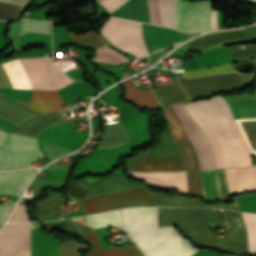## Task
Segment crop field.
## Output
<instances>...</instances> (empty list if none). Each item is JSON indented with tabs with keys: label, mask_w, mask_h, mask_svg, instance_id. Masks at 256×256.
I'll return each instance as SVG.
<instances>
[{
	"label": "crop field",
	"mask_w": 256,
	"mask_h": 256,
	"mask_svg": "<svg viewBox=\"0 0 256 256\" xmlns=\"http://www.w3.org/2000/svg\"><path fill=\"white\" fill-rule=\"evenodd\" d=\"M121 214L123 230L144 256H190L198 250L173 226L157 228V208H127Z\"/></svg>",
	"instance_id": "1"
},
{
	"label": "crop field",
	"mask_w": 256,
	"mask_h": 256,
	"mask_svg": "<svg viewBox=\"0 0 256 256\" xmlns=\"http://www.w3.org/2000/svg\"><path fill=\"white\" fill-rule=\"evenodd\" d=\"M174 224L197 243L222 249V239H212L209 227L226 225L218 210L158 208V227Z\"/></svg>",
	"instance_id": "2"
},
{
	"label": "crop field",
	"mask_w": 256,
	"mask_h": 256,
	"mask_svg": "<svg viewBox=\"0 0 256 256\" xmlns=\"http://www.w3.org/2000/svg\"><path fill=\"white\" fill-rule=\"evenodd\" d=\"M170 132L182 157L147 158L143 157L130 171H190L200 170L197 154L188 140L184 129L172 107L162 109Z\"/></svg>",
	"instance_id": "3"
},
{
	"label": "crop field",
	"mask_w": 256,
	"mask_h": 256,
	"mask_svg": "<svg viewBox=\"0 0 256 256\" xmlns=\"http://www.w3.org/2000/svg\"><path fill=\"white\" fill-rule=\"evenodd\" d=\"M225 168L252 165V160L241 136L219 141ZM230 194L256 189V165L225 169Z\"/></svg>",
	"instance_id": "4"
},
{
	"label": "crop field",
	"mask_w": 256,
	"mask_h": 256,
	"mask_svg": "<svg viewBox=\"0 0 256 256\" xmlns=\"http://www.w3.org/2000/svg\"><path fill=\"white\" fill-rule=\"evenodd\" d=\"M85 214L128 206H157L156 192L145 186L122 190L77 201Z\"/></svg>",
	"instance_id": "5"
},
{
	"label": "crop field",
	"mask_w": 256,
	"mask_h": 256,
	"mask_svg": "<svg viewBox=\"0 0 256 256\" xmlns=\"http://www.w3.org/2000/svg\"><path fill=\"white\" fill-rule=\"evenodd\" d=\"M193 106L211 127L217 140L241 135L223 96L193 103Z\"/></svg>",
	"instance_id": "6"
},
{
	"label": "crop field",
	"mask_w": 256,
	"mask_h": 256,
	"mask_svg": "<svg viewBox=\"0 0 256 256\" xmlns=\"http://www.w3.org/2000/svg\"><path fill=\"white\" fill-rule=\"evenodd\" d=\"M121 22V19L109 18L101 31L102 35L116 47ZM118 48L134 54L137 58L147 55L141 38L140 23L123 20Z\"/></svg>",
	"instance_id": "7"
},
{
	"label": "crop field",
	"mask_w": 256,
	"mask_h": 256,
	"mask_svg": "<svg viewBox=\"0 0 256 256\" xmlns=\"http://www.w3.org/2000/svg\"><path fill=\"white\" fill-rule=\"evenodd\" d=\"M42 158L35 138L9 134L4 148H0V168L26 166Z\"/></svg>",
	"instance_id": "8"
},
{
	"label": "crop field",
	"mask_w": 256,
	"mask_h": 256,
	"mask_svg": "<svg viewBox=\"0 0 256 256\" xmlns=\"http://www.w3.org/2000/svg\"><path fill=\"white\" fill-rule=\"evenodd\" d=\"M34 89H59L72 82L49 58L21 59Z\"/></svg>",
	"instance_id": "9"
},
{
	"label": "crop field",
	"mask_w": 256,
	"mask_h": 256,
	"mask_svg": "<svg viewBox=\"0 0 256 256\" xmlns=\"http://www.w3.org/2000/svg\"><path fill=\"white\" fill-rule=\"evenodd\" d=\"M253 75V74H252ZM251 74L229 73L180 81L189 98L209 92L238 87L248 81Z\"/></svg>",
	"instance_id": "10"
},
{
	"label": "crop field",
	"mask_w": 256,
	"mask_h": 256,
	"mask_svg": "<svg viewBox=\"0 0 256 256\" xmlns=\"http://www.w3.org/2000/svg\"><path fill=\"white\" fill-rule=\"evenodd\" d=\"M172 107L176 111L188 138L197 151L201 170L215 169L209 144L202 131L187 114L182 104Z\"/></svg>",
	"instance_id": "11"
},
{
	"label": "crop field",
	"mask_w": 256,
	"mask_h": 256,
	"mask_svg": "<svg viewBox=\"0 0 256 256\" xmlns=\"http://www.w3.org/2000/svg\"><path fill=\"white\" fill-rule=\"evenodd\" d=\"M36 170L0 172V195L19 196ZM13 204H0V226Z\"/></svg>",
	"instance_id": "12"
},
{
	"label": "crop field",
	"mask_w": 256,
	"mask_h": 256,
	"mask_svg": "<svg viewBox=\"0 0 256 256\" xmlns=\"http://www.w3.org/2000/svg\"><path fill=\"white\" fill-rule=\"evenodd\" d=\"M229 224L228 234L224 238V250L248 253L245 224L240 213L223 211Z\"/></svg>",
	"instance_id": "13"
},
{
	"label": "crop field",
	"mask_w": 256,
	"mask_h": 256,
	"mask_svg": "<svg viewBox=\"0 0 256 256\" xmlns=\"http://www.w3.org/2000/svg\"><path fill=\"white\" fill-rule=\"evenodd\" d=\"M211 1L186 2L184 6L185 31L210 30Z\"/></svg>",
	"instance_id": "14"
},
{
	"label": "crop field",
	"mask_w": 256,
	"mask_h": 256,
	"mask_svg": "<svg viewBox=\"0 0 256 256\" xmlns=\"http://www.w3.org/2000/svg\"><path fill=\"white\" fill-rule=\"evenodd\" d=\"M172 31L171 29L142 23V33ZM148 53L174 46L181 42L178 32H160L143 34Z\"/></svg>",
	"instance_id": "15"
},
{
	"label": "crop field",
	"mask_w": 256,
	"mask_h": 256,
	"mask_svg": "<svg viewBox=\"0 0 256 256\" xmlns=\"http://www.w3.org/2000/svg\"><path fill=\"white\" fill-rule=\"evenodd\" d=\"M131 173L150 183L187 192L186 172Z\"/></svg>",
	"instance_id": "16"
},
{
	"label": "crop field",
	"mask_w": 256,
	"mask_h": 256,
	"mask_svg": "<svg viewBox=\"0 0 256 256\" xmlns=\"http://www.w3.org/2000/svg\"><path fill=\"white\" fill-rule=\"evenodd\" d=\"M63 101L56 90L38 91L33 90L29 102V108L44 114L52 111L62 110Z\"/></svg>",
	"instance_id": "17"
},
{
	"label": "crop field",
	"mask_w": 256,
	"mask_h": 256,
	"mask_svg": "<svg viewBox=\"0 0 256 256\" xmlns=\"http://www.w3.org/2000/svg\"><path fill=\"white\" fill-rule=\"evenodd\" d=\"M80 238L89 242L92 246V250L87 256H142L135 246L125 248H102L94 230L80 236Z\"/></svg>",
	"instance_id": "18"
},
{
	"label": "crop field",
	"mask_w": 256,
	"mask_h": 256,
	"mask_svg": "<svg viewBox=\"0 0 256 256\" xmlns=\"http://www.w3.org/2000/svg\"><path fill=\"white\" fill-rule=\"evenodd\" d=\"M173 4L174 0H148L151 23L174 28Z\"/></svg>",
	"instance_id": "19"
},
{
	"label": "crop field",
	"mask_w": 256,
	"mask_h": 256,
	"mask_svg": "<svg viewBox=\"0 0 256 256\" xmlns=\"http://www.w3.org/2000/svg\"><path fill=\"white\" fill-rule=\"evenodd\" d=\"M109 16L150 23L147 0H129Z\"/></svg>",
	"instance_id": "20"
},
{
	"label": "crop field",
	"mask_w": 256,
	"mask_h": 256,
	"mask_svg": "<svg viewBox=\"0 0 256 256\" xmlns=\"http://www.w3.org/2000/svg\"><path fill=\"white\" fill-rule=\"evenodd\" d=\"M161 107H167L177 102H189L179 81L152 90Z\"/></svg>",
	"instance_id": "21"
},
{
	"label": "crop field",
	"mask_w": 256,
	"mask_h": 256,
	"mask_svg": "<svg viewBox=\"0 0 256 256\" xmlns=\"http://www.w3.org/2000/svg\"><path fill=\"white\" fill-rule=\"evenodd\" d=\"M123 85L127 90L125 98L138 103L141 107L144 108L152 109L159 107L150 89H136L131 79L123 82Z\"/></svg>",
	"instance_id": "22"
},
{
	"label": "crop field",
	"mask_w": 256,
	"mask_h": 256,
	"mask_svg": "<svg viewBox=\"0 0 256 256\" xmlns=\"http://www.w3.org/2000/svg\"><path fill=\"white\" fill-rule=\"evenodd\" d=\"M157 201L158 206L219 208V205L204 204L199 199L185 196H165V194L161 192H157Z\"/></svg>",
	"instance_id": "23"
},
{
	"label": "crop field",
	"mask_w": 256,
	"mask_h": 256,
	"mask_svg": "<svg viewBox=\"0 0 256 256\" xmlns=\"http://www.w3.org/2000/svg\"><path fill=\"white\" fill-rule=\"evenodd\" d=\"M184 107L189 112V114L193 117V119L195 120L197 125L200 127V129L203 131V133L205 134V136L209 140V142L211 144V147H212L216 167L217 168H224L221 152H220V149H219V145H218V142H217L214 134L212 133L211 129L201 119V117L195 112V110L193 109L191 104H185Z\"/></svg>",
	"instance_id": "24"
},
{
	"label": "crop field",
	"mask_w": 256,
	"mask_h": 256,
	"mask_svg": "<svg viewBox=\"0 0 256 256\" xmlns=\"http://www.w3.org/2000/svg\"><path fill=\"white\" fill-rule=\"evenodd\" d=\"M62 197L54 194L50 197L37 202L36 217L52 218L61 214Z\"/></svg>",
	"instance_id": "25"
},
{
	"label": "crop field",
	"mask_w": 256,
	"mask_h": 256,
	"mask_svg": "<svg viewBox=\"0 0 256 256\" xmlns=\"http://www.w3.org/2000/svg\"><path fill=\"white\" fill-rule=\"evenodd\" d=\"M64 103H69L85 96H91L93 88L86 83H71L57 90Z\"/></svg>",
	"instance_id": "26"
},
{
	"label": "crop field",
	"mask_w": 256,
	"mask_h": 256,
	"mask_svg": "<svg viewBox=\"0 0 256 256\" xmlns=\"http://www.w3.org/2000/svg\"><path fill=\"white\" fill-rule=\"evenodd\" d=\"M86 224L96 229L103 226L121 228L119 210L88 215L85 217Z\"/></svg>",
	"instance_id": "27"
},
{
	"label": "crop field",
	"mask_w": 256,
	"mask_h": 256,
	"mask_svg": "<svg viewBox=\"0 0 256 256\" xmlns=\"http://www.w3.org/2000/svg\"><path fill=\"white\" fill-rule=\"evenodd\" d=\"M204 199H220L216 170L201 171Z\"/></svg>",
	"instance_id": "28"
},
{
	"label": "crop field",
	"mask_w": 256,
	"mask_h": 256,
	"mask_svg": "<svg viewBox=\"0 0 256 256\" xmlns=\"http://www.w3.org/2000/svg\"><path fill=\"white\" fill-rule=\"evenodd\" d=\"M233 118L256 117V100L227 102Z\"/></svg>",
	"instance_id": "29"
},
{
	"label": "crop field",
	"mask_w": 256,
	"mask_h": 256,
	"mask_svg": "<svg viewBox=\"0 0 256 256\" xmlns=\"http://www.w3.org/2000/svg\"><path fill=\"white\" fill-rule=\"evenodd\" d=\"M50 226L75 235L77 237L93 230L91 227L85 224L84 219L59 224H51Z\"/></svg>",
	"instance_id": "30"
},
{
	"label": "crop field",
	"mask_w": 256,
	"mask_h": 256,
	"mask_svg": "<svg viewBox=\"0 0 256 256\" xmlns=\"http://www.w3.org/2000/svg\"><path fill=\"white\" fill-rule=\"evenodd\" d=\"M70 35V40L71 41H75L81 45H85V46H90V47H94L96 49L108 44L103 38H101L99 35H97L96 33L90 31L82 36H78L75 34H71Z\"/></svg>",
	"instance_id": "31"
},
{
	"label": "crop field",
	"mask_w": 256,
	"mask_h": 256,
	"mask_svg": "<svg viewBox=\"0 0 256 256\" xmlns=\"http://www.w3.org/2000/svg\"><path fill=\"white\" fill-rule=\"evenodd\" d=\"M85 184H87L85 179L70 183L67 191V197L69 199L68 205L79 206L75 201L88 197V194L83 186Z\"/></svg>",
	"instance_id": "32"
},
{
	"label": "crop field",
	"mask_w": 256,
	"mask_h": 256,
	"mask_svg": "<svg viewBox=\"0 0 256 256\" xmlns=\"http://www.w3.org/2000/svg\"><path fill=\"white\" fill-rule=\"evenodd\" d=\"M249 239V252L256 253V214L242 213Z\"/></svg>",
	"instance_id": "33"
},
{
	"label": "crop field",
	"mask_w": 256,
	"mask_h": 256,
	"mask_svg": "<svg viewBox=\"0 0 256 256\" xmlns=\"http://www.w3.org/2000/svg\"><path fill=\"white\" fill-rule=\"evenodd\" d=\"M26 32L50 34L48 22L23 20L20 22L19 36Z\"/></svg>",
	"instance_id": "34"
},
{
	"label": "crop field",
	"mask_w": 256,
	"mask_h": 256,
	"mask_svg": "<svg viewBox=\"0 0 256 256\" xmlns=\"http://www.w3.org/2000/svg\"><path fill=\"white\" fill-rule=\"evenodd\" d=\"M235 61L256 57V45H237L227 47Z\"/></svg>",
	"instance_id": "35"
},
{
	"label": "crop field",
	"mask_w": 256,
	"mask_h": 256,
	"mask_svg": "<svg viewBox=\"0 0 256 256\" xmlns=\"http://www.w3.org/2000/svg\"><path fill=\"white\" fill-rule=\"evenodd\" d=\"M97 54L98 55L94 58V60L101 62L119 64L121 62L128 60L106 46L98 49Z\"/></svg>",
	"instance_id": "36"
},
{
	"label": "crop field",
	"mask_w": 256,
	"mask_h": 256,
	"mask_svg": "<svg viewBox=\"0 0 256 256\" xmlns=\"http://www.w3.org/2000/svg\"><path fill=\"white\" fill-rule=\"evenodd\" d=\"M188 194L203 197L200 171L187 172Z\"/></svg>",
	"instance_id": "37"
},
{
	"label": "crop field",
	"mask_w": 256,
	"mask_h": 256,
	"mask_svg": "<svg viewBox=\"0 0 256 256\" xmlns=\"http://www.w3.org/2000/svg\"><path fill=\"white\" fill-rule=\"evenodd\" d=\"M237 71L232 64L222 66V67H216V68H210L205 69L201 71H194V72H186V73H180L181 75L185 77H196V76H203V75H210V74H218V73H225V72H232Z\"/></svg>",
	"instance_id": "38"
},
{
	"label": "crop field",
	"mask_w": 256,
	"mask_h": 256,
	"mask_svg": "<svg viewBox=\"0 0 256 256\" xmlns=\"http://www.w3.org/2000/svg\"><path fill=\"white\" fill-rule=\"evenodd\" d=\"M241 211L256 213V193L237 197Z\"/></svg>",
	"instance_id": "39"
},
{
	"label": "crop field",
	"mask_w": 256,
	"mask_h": 256,
	"mask_svg": "<svg viewBox=\"0 0 256 256\" xmlns=\"http://www.w3.org/2000/svg\"><path fill=\"white\" fill-rule=\"evenodd\" d=\"M0 91L11 99L29 101L32 90L0 88Z\"/></svg>",
	"instance_id": "40"
},
{
	"label": "crop field",
	"mask_w": 256,
	"mask_h": 256,
	"mask_svg": "<svg viewBox=\"0 0 256 256\" xmlns=\"http://www.w3.org/2000/svg\"><path fill=\"white\" fill-rule=\"evenodd\" d=\"M183 0H175L174 5V24L175 29L183 30L182 25V10H183Z\"/></svg>",
	"instance_id": "41"
},
{
	"label": "crop field",
	"mask_w": 256,
	"mask_h": 256,
	"mask_svg": "<svg viewBox=\"0 0 256 256\" xmlns=\"http://www.w3.org/2000/svg\"><path fill=\"white\" fill-rule=\"evenodd\" d=\"M217 171H218V174H219V182H220V187H221V195L223 197L222 200H228L229 199V192H228L225 172H224V170H217Z\"/></svg>",
	"instance_id": "42"
},
{
	"label": "crop field",
	"mask_w": 256,
	"mask_h": 256,
	"mask_svg": "<svg viewBox=\"0 0 256 256\" xmlns=\"http://www.w3.org/2000/svg\"><path fill=\"white\" fill-rule=\"evenodd\" d=\"M127 0H99V2L109 11L112 12Z\"/></svg>",
	"instance_id": "43"
},
{
	"label": "crop field",
	"mask_w": 256,
	"mask_h": 256,
	"mask_svg": "<svg viewBox=\"0 0 256 256\" xmlns=\"http://www.w3.org/2000/svg\"><path fill=\"white\" fill-rule=\"evenodd\" d=\"M0 2L25 7L30 2V0H0Z\"/></svg>",
	"instance_id": "44"
},
{
	"label": "crop field",
	"mask_w": 256,
	"mask_h": 256,
	"mask_svg": "<svg viewBox=\"0 0 256 256\" xmlns=\"http://www.w3.org/2000/svg\"><path fill=\"white\" fill-rule=\"evenodd\" d=\"M234 199V203L233 204H222V208L223 209H229V210H237V211H240L239 208H238V205H237V202H236V198L233 197Z\"/></svg>",
	"instance_id": "45"
},
{
	"label": "crop field",
	"mask_w": 256,
	"mask_h": 256,
	"mask_svg": "<svg viewBox=\"0 0 256 256\" xmlns=\"http://www.w3.org/2000/svg\"><path fill=\"white\" fill-rule=\"evenodd\" d=\"M211 26L212 29L218 28L217 11H211Z\"/></svg>",
	"instance_id": "46"
},
{
	"label": "crop field",
	"mask_w": 256,
	"mask_h": 256,
	"mask_svg": "<svg viewBox=\"0 0 256 256\" xmlns=\"http://www.w3.org/2000/svg\"><path fill=\"white\" fill-rule=\"evenodd\" d=\"M7 134V132L0 131V146L4 145Z\"/></svg>",
	"instance_id": "47"
},
{
	"label": "crop field",
	"mask_w": 256,
	"mask_h": 256,
	"mask_svg": "<svg viewBox=\"0 0 256 256\" xmlns=\"http://www.w3.org/2000/svg\"><path fill=\"white\" fill-rule=\"evenodd\" d=\"M254 1H256V0H254Z\"/></svg>",
	"instance_id": "48"
}]
</instances>
